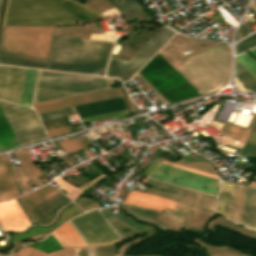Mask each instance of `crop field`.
I'll use <instances>...</instances> for the list:
<instances>
[{
    "instance_id": "crop-field-1",
    "label": "crop field",
    "mask_w": 256,
    "mask_h": 256,
    "mask_svg": "<svg viewBox=\"0 0 256 256\" xmlns=\"http://www.w3.org/2000/svg\"><path fill=\"white\" fill-rule=\"evenodd\" d=\"M107 1L121 14L143 11L134 0ZM99 18L102 16L72 0H8L2 26H56ZM52 28L5 27L0 63L44 69ZM112 47L109 42L53 35L46 69L104 76Z\"/></svg>"
},
{
    "instance_id": "crop-field-2",
    "label": "crop field",
    "mask_w": 256,
    "mask_h": 256,
    "mask_svg": "<svg viewBox=\"0 0 256 256\" xmlns=\"http://www.w3.org/2000/svg\"><path fill=\"white\" fill-rule=\"evenodd\" d=\"M138 73L170 104L200 96L158 53Z\"/></svg>"
},
{
    "instance_id": "crop-field-3",
    "label": "crop field",
    "mask_w": 256,
    "mask_h": 256,
    "mask_svg": "<svg viewBox=\"0 0 256 256\" xmlns=\"http://www.w3.org/2000/svg\"><path fill=\"white\" fill-rule=\"evenodd\" d=\"M71 221L89 244L106 243L119 239L96 209L77 216ZM55 231L67 245H85L69 222Z\"/></svg>"
},
{
    "instance_id": "crop-field-4",
    "label": "crop field",
    "mask_w": 256,
    "mask_h": 256,
    "mask_svg": "<svg viewBox=\"0 0 256 256\" xmlns=\"http://www.w3.org/2000/svg\"><path fill=\"white\" fill-rule=\"evenodd\" d=\"M38 87L83 93L110 87L106 79H98L55 72H41ZM38 88L36 101L62 97L77 93Z\"/></svg>"
},
{
    "instance_id": "crop-field-5",
    "label": "crop field",
    "mask_w": 256,
    "mask_h": 256,
    "mask_svg": "<svg viewBox=\"0 0 256 256\" xmlns=\"http://www.w3.org/2000/svg\"><path fill=\"white\" fill-rule=\"evenodd\" d=\"M0 109L19 146L48 139L34 111L4 101Z\"/></svg>"
},
{
    "instance_id": "crop-field-6",
    "label": "crop field",
    "mask_w": 256,
    "mask_h": 256,
    "mask_svg": "<svg viewBox=\"0 0 256 256\" xmlns=\"http://www.w3.org/2000/svg\"><path fill=\"white\" fill-rule=\"evenodd\" d=\"M174 33L163 26L129 62L111 58L106 76L127 81Z\"/></svg>"
},
{
    "instance_id": "crop-field-7",
    "label": "crop field",
    "mask_w": 256,
    "mask_h": 256,
    "mask_svg": "<svg viewBox=\"0 0 256 256\" xmlns=\"http://www.w3.org/2000/svg\"><path fill=\"white\" fill-rule=\"evenodd\" d=\"M151 178L178 184L216 196L219 180L161 164Z\"/></svg>"
},
{
    "instance_id": "crop-field-8",
    "label": "crop field",
    "mask_w": 256,
    "mask_h": 256,
    "mask_svg": "<svg viewBox=\"0 0 256 256\" xmlns=\"http://www.w3.org/2000/svg\"><path fill=\"white\" fill-rule=\"evenodd\" d=\"M52 221L56 211L70 202L50 184L26 194Z\"/></svg>"
},
{
    "instance_id": "crop-field-9",
    "label": "crop field",
    "mask_w": 256,
    "mask_h": 256,
    "mask_svg": "<svg viewBox=\"0 0 256 256\" xmlns=\"http://www.w3.org/2000/svg\"><path fill=\"white\" fill-rule=\"evenodd\" d=\"M25 68L0 65V99L19 102Z\"/></svg>"
},
{
    "instance_id": "crop-field-10",
    "label": "crop field",
    "mask_w": 256,
    "mask_h": 256,
    "mask_svg": "<svg viewBox=\"0 0 256 256\" xmlns=\"http://www.w3.org/2000/svg\"><path fill=\"white\" fill-rule=\"evenodd\" d=\"M119 96H121V95L118 90L108 89V90L93 92V93H89V94H84V95L54 100V101H50V102L35 104L34 107H35L37 113H39V112H44V111H49V110H54V109H60V108H65V107L76 106V105L86 104V103H90V102L110 99V98L119 97Z\"/></svg>"
},
{
    "instance_id": "crop-field-11",
    "label": "crop field",
    "mask_w": 256,
    "mask_h": 256,
    "mask_svg": "<svg viewBox=\"0 0 256 256\" xmlns=\"http://www.w3.org/2000/svg\"><path fill=\"white\" fill-rule=\"evenodd\" d=\"M0 223L4 230H23L30 225L15 199L0 202Z\"/></svg>"
},
{
    "instance_id": "crop-field-12",
    "label": "crop field",
    "mask_w": 256,
    "mask_h": 256,
    "mask_svg": "<svg viewBox=\"0 0 256 256\" xmlns=\"http://www.w3.org/2000/svg\"><path fill=\"white\" fill-rule=\"evenodd\" d=\"M125 203L154 208L162 211L165 207L174 209V202L150 194L131 190Z\"/></svg>"
},
{
    "instance_id": "crop-field-13",
    "label": "crop field",
    "mask_w": 256,
    "mask_h": 256,
    "mask_svg": "<svg viewBox=\"0 0 256 256\" xmlns=\"http://www.w3.org/2000/svg\"><path fill=\"white\" fill-rule=\"evenodd\" d=\"M19 196L7 156L0 155V200Z\"/></svg>"
},
{
    "instance_id": "crop-field-14",
    "label": "crop field",
    "mask_w": 256,
    "mask_h": 256,
    "mask_svg": "<svg viewBox=\"0 0 256 256\" xmlns=\"http://www.w3.org/2000/svg\"><path fill=\"white\" fill-rule=\"evenodd\" d=\"M83 212L84 211H82L80 208H78L75 204H72L70 208L62 210L59 219L53 226L48 227V228H44V227L31 228L27 233L14 234L13 241L50 230V229L62 224L63 222L67 221L68 219H70L76 215H79Z\"/></svg>"
},
{
    "instance_id": "crop-field-15",
    "label": "crop field",
    "mask_w": 256,
    "mask_h": 256,
    "mask_svg": "<svg viewBox=\"0 0 256 256\" xmlns=\"http://www.w3.org/2000/svg\"><path fill=\"white\" fill-rule=\"evenodd\" d=\"M37 72L38 70L26 68L19 102L20 105L30 108Z\"/></svg>"
},
{
    "instance_id": "crop-field-16",
    "label": "crop field",
    "mask_w": 256,
    "mask_h": 256,
    "mask_svg": "<svg viewBox=\"0 0 256 256\" xmlns=\"http://www.w3.org/2000/svg\"><path fill=\"white\" fill-rule=\"evenodd\" d=\"M18 147V144L0 111V151Z\"/></svg>"
},
{
    "instance_id": "crop-field-17",
    "label": "crop field",
    "mask_w": 256,
    "mask_h": 256,
    "mask_svg": "<svg viewBox=\"0 0 256 256\" xmlns=\"http://www.w3.org/2000/svg\"><path fill=\"white\" fill-rule=\"evenodd\" d=\"M230 183L221 182L216 211L224 216L227 215L228 203L231 192Z\"/></svg>"
},
{
    "instance_id": "crop-field-18",
    "label": "crop field",
    "mask_w": 256,
    "mask_h": 256,
    "mask_svg": "<svg viewBox=\"0 0 256 256\" xmlns=\"http://www.w3.org/2000/svg\"><path fill=\"white\" fill-rule=\"evenodd\" d=\"M49 137H55L61 134L69 133L62 117L42 122Z\"/></svg>"
},
{
    "instance_id": "crop-field-19",
    "label": "crop field",
    "mask_w": 256,
    "mask_h": 256,
    "mask_svg": "<svg viewBox=\"0 0 256 256\" xmlns=\"http://www.w3.org/2000/svg\"><path fill=\"white\" fill-rule=\"evenodd\" d=\"M233 76L237 78L245 90H256V78L244 67L234 71Z\"/></svg>"
},
{
    "instance_id": "crop-field-20",
    "label": "crop field",
    "mask_w": 256,
    "mask_h": 256,
    "mask_svg": "<svg viewBox=\"0 0 256 256\" xmlns=\"http://www.w3.org/2000/svg\"><path fill=\"white\" fill-rule=\"evenodd\" d=\"M74 252H75V249H67V250H63L57 253L47 255L33 248L25 246L19 249L18 251H16L15 253H13V255H16V256H74Z\"/></svg>"
},
{
    "instance_id": "crop-field-21",
    "label": "crop field",
    "mask_w": 256,
    "mask_h": 256,
    "mask_svg": "<svg viewBox=\"0 0 256 256\" xmlns=\"http://www.w3.org/2000/svg\"><path fill=\"white\" fill-rule=\"evenodd\" d=\"M101 212H102V214L104 215V217L106 218V220L109 221V222L116 220V221L119 222L121 225H124V226H126V227H128V228H130V229H132V230H135V231H137V232H140V233H142V231H140V230H138V229H136V228H139V229H141V230H143V231L146 229V227H144V226H142V225H139V224H137V223H135V222L129 220L128 218H126L125 216H123V215L120 214V213L115 214V215H116L118 218H120L121 220H123L124 222H126L127 224H129V225H131V226H134V227H136V228H133V227L127 225L126 223H124L123 221H121L120 219H118L116 216H114V215L111 213V211H110L109 209H104V210H102Z\"/></svg>"
},
{
    "instance_id": "crop-field-22",
    "label": "crop field",
    "mask_w": 256,
    "mask_h": 256,
    "mask_svg": "<svg viewBox=\"0 0 256 256\" xmlns=\"http://www.w3.org/2000/svg\"><path fill=\"white\" fill-rule=\"evenodd\" d=\"M60 145L66 151V153L74 152L85 147L90 146V140L87 136L60 142Z\"/></svg>"
},
{
    "instance_id": "crop-field-23",
    "label": "crop field",
    "mask_w": 256,
    "mask_h": 256,
    "mask_svg": "<svg viewBox=\"0 0 256 256\" xmlns=\"http://www.w3.org/2000/svg\"><path fill=\"white\" fill-rule=\"evenodd\" d=\"M28 246L36 248V249L41 250V251H44L46 253L63 249V247L54 238V236L52 234L49 237H47L45 240H43V241H41L39 243L30 244Z\"/></svg>"
},
{
    "instance_id": "crop-field-24",
    "label": "crop field",
    "mask_w": 256,
    "mask_h": 256,
    "mask_svg": "<svg viewBox=\"0 0 256 256\" xmlns=\"http://www.w3.org/2000/svg\"><path fill=\"white\" fill-rule=\"evenodd\" d=\"M20 198L39 223L47 224L51 222L26 195L20 196Z\"/></svg>"
},
{
    "instance_id": "crop-field-25",
    "label": "crop field",
    "mask_w": 256,
    "mask_h": 256,
    "mask_svg": "<svg viewBox=\"0 0 256 256\" xmlns=\"http://www.w3.org/2000/svg\"><path fill=\"white\" fill-rule=\"evenodd\" d=\"M240 155L256 156V124Z\"/></svg>"
},
{
    "instance_id": "crop-field-26",
    "label": "crop field",
    "mask_w": 256,
    "mask_h": 256,
    "mask_svg": "<svg viewBox=\"0 0 256 256\" xmlns=\"http://www.w3.org/2000/svg\"><path fill=\"white\" fill-rule=\"evenodd\" d=\"M234 58L256 77V61L253 58H251L246 52Z\"/></svg>"
},
{
    "instance_id": "crop-field-27",
    "label": "crop field",
    "mask_w": 256,
    "mask_h": 256,
    "mask_svg": "<svg viewBox=\"0 0 256 256\" xmlns=\"http://www.w3.org/2000/svg\"><path fill=\"white\" fill-rule=\"evenodd\" d=\"M74 113H75V111H74L73 107H71V108H66V109H61V110H56V111L40 113L37 115H38L40 121H43V120H47V119H51V118H55V117H59V116L74 114Z\"/></svg>"
},
{
    "instance_id": "crop-field-28",
    "label": "crop field",
    "mask_w": 256,
    "mask_h": 256,
    "mask_svg": "<svg viewBox=\"0 0 256 256\" xmlns=\"http://www.w3.org/2000/svg\"><path fill=\"white\" fill-rule=\"evenodd\" d=\"M256 45V33L235 45V55Z\"/></svg>"
},
{
    "instance_id": "crop-field-29",
    "label": "crop field",
    "mask_w": 256,
    "mask_h": 256,
    "mask_svg": "<svg viewBox=\"0 0 256 256\" xmlns=\"http://www.w3.org/2000/svg\"><path fill=\"white\" fill-rule=\"evenodd\" d=\"M243 189H244V186L238 185L235 206H234V212H233V218H232V221L237 222V223L239 220Z\"/></svg>"
},
{
    "instance_id": "crop-field-30",
    "label": "crop field",
    "mask_w": 256,
    "mask_h": 256,
    "mask_svg": "<svg viewBox=\"0 0 256 256\" xmlns=\"http://www.w3.org/2000/svg\"><path fill=\"white\" fill-rule=\"evenodd\" d=\"M129 114L127 110L81 119L83 123Z\"/></svg>"
},
{
    "instance_id": "crop-field-31",
    "label": "crop field",
    "mask_w": 256,
    "mask_h": 256,
    "mask_svg": "<svg viewBox=\"0 0 256 256\" xmlns=\"http://www.w3.org/2000/svg\"><path fill=\"white\" fill-rule=\"evenodd\" d=\"M75 203L80 205L85 211H88L94 207H100L99 202L82 197Z\"/></svg>"
},
{
    "instance_id": "crop-field-32",
    "label": "crop field",
    "mask_w": 256,
    "mask_h": 256,
    "mask_svg": "<svg viewBox=\"0 0 256 256\" xmlns=\"http://www.w3.org/2000/svg\"><path fill=\"white\" fill-rule=\"evenodd\" d=\"M26 164L28 165L29 169L36 175H40V171L37 169V167L34 165V163L32 162L29 154L27 153L26 149L24 150H20Z\"/></svg>"
},
{
    "instance_id": "crop-field-33",
    "label": "crop field",
    "mask_w": 256,
    "mask_h": 256,
    "mask_svg": "<svg viewBox=\"0 0 256 256\" xmlns=\"http://www.w3.org/2000/svg\"><path fill=\"white\" fill-rule=\"evenodd\" d=\"M237 185L233 184L227 218L231 219Z\"/></svg>"
},
{
    "instance_id": "crop-field-34",
    "label": "crop field",
    "mask_w": 256,
    "mask_h": 256,
    "mask_svg": "<svg viewBox=\"0 0 256 256\" xmlns=\"http://www.w3.org/2000/svg\"><path fill=\"white\" fill-rule=\"evenodd\" d=\"M159 164V162H155L153 161L146 169H144L141 174L148 176L155 168L156 166Z\"/></svg>"
},
{
    "instance_id": "crop-field-35",
    "label": "crop field",
    "mask_w": 256,
    "mask_h": 256,
    "mask_svg": "<svg viewBox=\"0 0 256 256\" xmlns=\"http://www.w3.org/2000/svg\"><path fill=\"white\" fill-rule=\"evenodd\" d=\"M120 91H121V93H122V95H123V97H124V99H125V101H126L128 107H129L130 111H131V112H134L135 109H134V107H133V105H132V102L130 101V99H129V97H128L126 91H125V89L122 88V89H120Z\"/></svg>"
},
{
    "instance_id": "crop-field-36",
    "label": "crop field",
    "mask_w": 256,
    "mask_h": 256,
    "mask_svg": "<svg viewBox=\"0 0 256 256\" xmlns=\"http://www.w3.org/2000/svg\"><path fill=\"white\" fill-rule=\"evenodd\" d=\"M249 52H250L253 56L256 57V49H255V48L249 50Z\"/></svg>"
},
{
    "instance_id": "crop-field-37",
    "label": "crop field",
    "mask_w": 256,
    "mask_h": 256,
    "mask_svg": "<svg viewBox=\"0 0 256 256\" xmlns=\"http://www.w3.org/2000/svg\"><path fill=\"white\" fill-rule=\"evenodd\" d=\"M244 21H245V20H244ZM244 21H242V23H243L244 25H246L252 32L255 31V30H254L253 28H251L247 23H245L246 21H245V22H244Z\"/></svg>"
},
{
    "instance_id": "crop-field-38",
    "label": "crop field",
    "mask_w": 256,
    "mask_h": 256,
    "mask_svg": "<svg viewBox=\"0 0 256 256\" xmlns=\"http://www.w3.org/2000/svg\"><path fill=\"white\" fill-rule=\"evenodd\" d=\"M0 256H9V255L0 254Z\"/></svg>"
},
{
    "instance_id": "crop-field-39",
    "label": "crop field",
    "mask_w": 256,
    "mask_h": 256,
    "mask_svg": "<svg viewBox=\"0 0 256 256\" xmlns=\"http://www.w3.org/2000/svg\"><path fill=\"white\" fill-rule=\"evenodd\" d=\"M0 230H3L2 227H1V225H0Z\"/></svg>"
},
{
    "instance_id": "crop-field-40",
    "label": "crop field",
    "mask_w": 256,
    "mask_h": 256,
    "mask_svg": "<svg viewBox=\"0 0 256 256\" xmlns=\"http://www.w3.org/2000/svg\"><path fill=\"white\" fill-rule=\"evenodd\" d=\"M191 1H194V0H191Z\"/></svg>"
},
{
    "instance_id": "crop-field-41",
    "label": "crop field",
    "mask_w": 256,
    "mask_h": 256,
    "mask_svg": "<svg viewBox=\"0 0 256 256\" xmlns=\"http://www.w3.org/2000/svg\"><path fill=\"white\" fill-rule=\"evenodd\" d=\"M256 48V47H255Z\"/></svg>"
}]
</instances>
